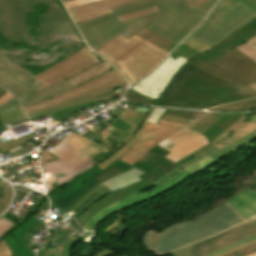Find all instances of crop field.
Listing matches in <instances>:
<instances>
[{"mask_svg": "<svg viewBox=\"0 0 256 256\" xmlns=\"http://www.w3.org/2000/svg\"><path fill=\"white\" fill-rule=\"evenodd\" d=\"M193 1L137 0L112 7L114 13L77 24V27L88 45L96 51L142 18L120 23L116 17L157 6L160 14L145 28L177 45L201 24L217 0H209L194 9L185 7Z\"/></svg>", "mask_w": 256, "mask_h": 256, "instance_id": "8a807250", "label": "crop field"}, {"mask_svg": "<svg viewBox=\"0 0 256 256\" xmlns=\"http://www.w3.org/2000/svg\"><path fill=\"white\" fill-rule=\"evenodd\" d=\"M168 153L170 152L157 145L138 162L136 161L137 163L133 167L146 172L138 176L142 180L115 191L117 194L107 199L102 198L92 204L77 218L79 226L92 231L101 221L112 214L160 195L193 175L185 169L169 181L156 187L154 180L178 166L164 158Z\"/></svg>", "mask_w": 256, "mask_h": 256, "instance_id": "ac0d7876", "label": "crop field"}, {"mask_svg": "<svg viewBox=\"0 0 256 256\" xmlns=\"http://www.w3.org/2000/svg\"><path fill=\"white\" fill-rule=\"evenodd\" d=\"M37 3H45L49 7L48 13L38 16L40 25L28 27L26 15ZM0 34L12 42L22 41L41 47L67 37L80 41L56 0H0Z\"/></svg>", "mask_w": 256, "mask_h": 256, "instance_id": "34b2d1b8", "label": "crop field"}, {"mask_svg": "<svg viewBox=\"0 0 256 256\" xmlns=\"http://www.w3.org/2000/svg\"><path fill=\"white\" fill-rule=\"evenodd\" d=\"M171 83L154 105L206 109L254 97L188 63Z\"/></svg>", "mask_w": 256, "mask_h": 256, "instance_id": "412701ff", "label": "crop field"}, {"mask_svg": "<svg viewBox=\"0 0 256 256\" xmlns=\"http://www.w3.org/2000/svg\"><path fill=\"white\" fill-rule=\"evenodd\" d=\"M246 221L226 202L194 220L169 225L158 233L149 229L141 243L151 253L161 256Z\"/></svg>", "mask_w": 256, "mask_h": 256, "instance_id": "f4fd0767", "label": "crop field"}, {"mask_svg": "<svg viewBox=\"0 0 256 256\" xmlns=\"http://www.w3.org/2000/svg\"><path fill=\"white\" fill-rule=\"evenodd\" d=\"M96 52L127 77L129 86L169 53L136 34L128 39L120 35Z\"/></svg>", "mask_w": 256, "mask_h": 256, "instance_id": "dd49c442", "label": "crop field"}, {"mask_svg": "<svg viewBox=\"0 0 256 256\" xmlns=\"http://www.w3.org/2000/svg\"><path fill=\"white\" fill-rule=\"evenodd\" d=\"M101 150L109 152L100 145L71 133L65 136L55 148L48 150L61 160L41 165L42 171L43 173L57 172L56 182L62 187L94 167L95 163L91 156Z\"/></svg>", "mask_w": 256, "mask_h": 256, "instance_id": "e52e79f7", "label": "crop field"}, {"mask_svg": "<svg viewBox=\"0 0 256 256\" xmlns=\"http://www.w3.org/2000/svg\"><path fill=\"white\" fill-rule=\"evenodd\" d=\"M153 110L154 109L151 108L142 126L125 146L121 147L119 151L97 165L101 172L117 160L132 166L150 149L180 129L182 126L191 128V126L188 125L177 124L163 119H160L157 125L145 122Z\"/></svg>", "mask_w": 256, "mask_h": 256, "instance_id": "d8731c3e", "label": "crop field"}, {"mask_svg": "<svg viewBox=\"0 0 256 256\" xmlns=\"http://www.w3.org/2000/svg\"><path fill=\"white\" fill-rule=\"evenodd\" d=\"M254 18L256 12L242 2L239 1L230 7L220 1L207 21L190 37L200 42L205 41L213 47Z\"/></svg>", "mask_w": 256, "mask_h": 256, "instance_id": "5a996713", "label": "crop field"}, {"mask_svg": "<svg viewBox=\"0 0 256 256\" xmlns=\"http://www.w3.org/2000/svg\"><path fill=\"white\" fill-rule=\"evenodd\" d=\"M189 63L256 96V92L251 88H245L256 82V63L236 48L213 62L203 53Z\"/></svg>", "mask_w": 256, "mask_h": 256, "instance_id": "3316defc", "label": "crop field"}, {"mask_svg": "<svg viewBox=\"0 0 256 256\" xmlns=\"http://www.w3.org/2000/svg\"><path fill=\"white\" fill-rule=\"evenodd\" d=\"M131 168L133 167L118 161L101 173L95 166L68 183L65 191L61 188L48 195V198L52 207H60V210L66 213L90 189Z\"/></svg>", "mask_w": 256, "mask_h": 256, "instance_id": "28ad6ade", "label": "crop field"}, {"mask_svg": "<svg viewBox=\"0 0 256 256\" xmlns=\"http://www.w3.org/2000/svg\"><path fill=\"white\" fill-rule=\"evenodd\" d=\"M250 118L256 122V114L251 115ZM254 139H256V129L249 133L248 135H246L245 137H243L242 139H240L239 141H237L236 143H234L233 145H228L220 150L211 143H209L208 145L202 147L201 149L177 161L176 163L179 165L177 168H175L169 174L154 182L157 186L172 178L185 168L188 169L193 174H195L205 169L206 167L212 165L213 163L217 162L218 160L224 158L225 156L229 155L232 151L244 146L245 144L249 143Z\"/></svg>", "mask_w": 256, "mask_h": 256, "instance_id": "d1516ede", "label": "crop field"}, {"mask_svg": "<svg viewBox=\"0 0 256 256\" xmlns=\"http://www.w3.org/2000/svg\"><path fill=\"white\" fill-rule=\"evenodd\" d=\"M60 42L61 43L58 44V46L49 50V46L40 48L29 44H27L25 48L17 49V47H13L10 41H8L5 45L12 48L13 50L4 52L3 50L5 49H0L2 50V52H4L6 55H8L21 66L24 64H26L27 66H29V64H40L42 67H44V65L56 63V59L60 55L64 56L60 59L62 61L63 59H66L67 57L77 52L81 48L85 47L83 43L79 41L61 40Z\"/></svg>", "mask_w": 256, "mask_h": 256, "instance_id": "22f410ed", "label": "crop field"}, {"mask_svg": "<svg viewBox=\"0 0 256 256\" xmlns=\"http://www.w3.org/2000/svg\"><path fill=\"white\" fill-rule=\"evenodd\" d=\"M98 57L87 47L81 49L58 65L36 75L35 81L42 84L36 90L52 85L75 72L100 61L101 59Z\"/></svg>", "mask_w": 256, "mask_h": 256, "instance_id": "cbeb9de0", "label": "crop field"}, {"mask_svg": "<svg viewBox=\"0 0 256 256\" xmlns=\"http://www.w3.org/2000/svg\"><path fill=\"white\" fill-rule=\"evenodd\" d=\"M189 60L181 56L174 60L169 56L152 74L131 89L156 100L173 79L177 71ZM157 94L159 95L156 96Z\"/></svg>", "mask_w": 256, "mask_h": 256, "instance_id": "5142ce71", "label": "crop field"}, {"mask_svg": "<svg viewBox=\"0 0 256 256\" xmlns=\"http://www.w3.org/2000/svg\"><path fill=\"white\" fill-rule=\"evenodd\" d=\"M125 81L122 74H120L115 69L107 72L106 74L90 81L85 84L79 85L75 87L74 89L66 92L65 94H62L58 97H55L45 103L29 106V107H22L24 112H31L35 110H40L44 108L53 107L55 105L61 104L63 102L69 101L71 99L77 98L79 96L118 84L120 82Z\"/></svg>", "mask_w": 256, "mask_h": 256, "instance_id": "d9b57169", "label": "crop field"}, {"mask_svg": "<svg viewBox=\"0 0 256 256\" xmlns=\"http://www.w3.org/2000/svg\"><path fill=\"white\" fill-rule=\"evenodd\" d=\"M256 234V220L239 225L190 246L192 256H207L231 243Z\"/></svg>", "mask_w": 256, "mask_h": 256, "instance_id": "733c2abd", "label": "crop field"}, {"mask_svg": "<svg viewBox=\"0 0 256 256\" xmlns=\"http://www.w3.org/2000/svg\"><path fill=\"white\" fill-rule=\"evenodd\" d=\"M208 143L206 138L197 131L182 127L158 145L170 151L166 158L175 162Z\"/></svg>", "mask_w": 256, "mask_h": 256, "instance_id": "4a817a6b", "label": "crop field"}, {"mask_svg": "<svg viewBox=\"0 0 256 256\" xmlns=\"http://www.w3.org/2000/svg\"><path fill=\"white\" fill-rule=\"evenodd\" d=\"M0 85L19 97L22 106H25L29 96L40 86L34 81L28 82L2 63H0Z\"/></svg>", "mask_w": 256, "mask_h": 256, "instance_id": "bc2a9ffb", "label": "crop field"}, {"mask_svg": "<svg viewBox=\"0 0 256 256\" xmlns=\"http://www.w3.org/2000/svg\"><path fill=\"white\" fill-rule=\"evenodd\" d=\"M133 0H103L75 8L68 9L75 24L81 23L99 16L112 13L110 7L130 2Z\"/></svg>", "mask_w": 256, "mask_h": 256, "instance_id": "214f88e0", "label": "crop field"}, {"mask_svg": "<svg viewBox=\"0 0 256 256\" xmlns=\"http://www.w3.org/2000/svg\"><path fill=\"white\" fill-rule=\"evenodd\" d=\"M256 35V22L252 21L248 25L244 26L240 30L233 33L231 36L214 46L209 51L205 52L209 58L213 61L215 58L226 53L230 49L246 42L250 38Z\"/></svg>", "mask_w": 256, "mask_h": 256, "instance_id": "92a150f3", "label": "crop field"}, {"mask_svg": "<svg viewBox=\"0 0 256 256\" xmlns=\"http://www.w3.org/2000/svg\"><path fill=\"white\" fill-rule=\"evenodd\" d=\"M126 84H127V81H125L123 83H120L118 85H115V86H112V87H109V88H106V89H103V90H100V91L82 96L80 98L74 99L72 101L66 102L64 104L58 105V106L53 107V108L28 113L27 116L29 117V119H33V118L41 117L43 115H47V114H50V113H54V112H57V111L68 109V108H71V107H74V106H78V105H81V104H84V103H88V102H91V101H110V100H113L115 98H121L124 91L117 92L114 95L104 97V98H101V99H98V100L94 99L93 96L115 90V89H117L119 87H122ZM74 103H76V104H74Z\"/></svg>", "mask_w": 256, "mask_h": 256, "instance_id": "dafd665d", "label": "crop field"}, {"mask_svg": "<svg viewBox=\"0 0 256 256\" xmlns=\"http://www.w3.org/2000/svg\"><path fill=\"white\" fill-rule=\"evenodd\" d=\"M38 222L40 221L32 216L3 238L4 242L10 247L13 256H36L25 246V238L28 231Z\"/></svg>", "mask_w": 256, "mask_h": 256, "instance_id": "00972430", "label": "crop field"}, {"mask_svg": "<svg viewBox=\"0 0 256 256\" xmlns=\"http://www.w3.org/2000/svg\"><path fill=\"white\" fill-rule=\"evenodd\" d=\"M256 128V123L249 119L248 117L244 116L227 130H225L221 135H219L213 143L219 149L228 145L233 144L252 130Z\"/></svg>", "mask_w": 256, "mask_h": 256, "instance_id": "a9b5d70f", "label": "crop field"}, {"mask_svg": "<svg viewBox=\"0 0 256 256\" xmlns=\"http://www.w3.org/2000/svg\"><path fill=\"white\" fill-rule=\"evenodd\" d=\"M102 62H104V60H102V61H100V62H98L96 64H93V65H91V66H89V67H87V68L77 72L76 74H74V75H72V76H70V77H68V78H66V79H64V80H62V81L52 85V86H49L47 88H44V89H41L39 91L34 92L30 96L26 106L45 102V101H47V100H49V99H51V98H53V97H55L57 95H60V94H62L64 92L72 89L73 87L71 85H69L65 80H67V79H69V78H71V77H73V76H75V75H77L79 73H82V72H84V71H86V70H88V69H90V68H92V67H94V66H96V65H98L100 63H102Z\"/></svg>", "mask_w": 256, "mask_h": 256, "instance_id": "4177f3b9", "label": "crop field"}, {"mask_svg": "<svg viewBox=\"0 0 256 256\" xmlns=\"http://www.w3.org/2000/svg\"><path fill=\"white\" fill-rule=\"evenodd\" d=\"M5 92V90L0 88V97ZM27 119L28 118L20 108L19 100L15 97L0 106V126L25 121Z\"/></svg>", "mask_w": 256, "mask_h": 256, "instance_id": "730fd06b", "label": "crop field"}, {"mask_svg": "<svg viewBox=\"0 0 256 256\" xmlns=\"http://www.w3.org/2000/svg\"><path fill=\"white\" fill-rule=\"evenodd\" d=\"M248 221L256 219V191H245L228 201Z\"/></svg>", "mask_w": 256, "mask_h": 256, "instance_id": "eef30255", "label": "crop field"}, {"mask_svg": "<svg viewBox=\"0 0 256 256\" xmlns=\"http://www.w3.org/2000/svg\"><path fill=\"white\" fill-rule=\"evenodd\" d=\"M244 115L245 114H227L210 129H208L205 133H203V135L207 138L209 142H211L220 133H222L225 129H227Z\"/></svg>", "mask_w": 256, "mask_h": 256, "instance_id": "ae1a2a85", "label": "crop field"}, {"mask_svg": "<svg viewBox=\"0 0 256 256\" xmlns=\"http://www.w3.org/2000/svg\"><path fill=\"white\" fill-rule=\"evenodd\" d=\"M111 69H112V67L110 65H108L106 62H104V63H102V64L82 73V74H79V75L67 80V82L70 83L73 87H75L79 84H82L84 82L92 80Z\"/></svg>", "mask_w": 256, "mask_h": 256, "instance_id": "d3111659", "label": "crop field"}, {"mask_svg": "<svg viewBox=\"0 0 256 256\" xmlns=\"http://www.w3.org/2000/svg\"><path fill=\"white\" fill-rule=\"evenodd\" d=\"M99 126L100 128L97 129L96 131L94 129L84 130L103 140L109 137L115 141H117V139H120V142L129 135V133L123 132L121 130L110 128L103 122L99 123Z\"/></svg>", "mask_w": 256, "mask_h": 256, "instance_id": "750c4746", "label": "crop field"}, {"mask_svg": "<svg viewBox=\"0 0 256 256\" xmlns=\"http://www.w3.org/2000/svg\"><path fill=\"white\" fill-rule=\"evenodd\" d=\"M0 62L14 70L16 73L27 79L28 81H33L35 78V74L29 72L28 70L22 68L17 63H15L13 60H11L8 56H6L4 53L0 51Z\"/></svg>", "mask_w": 256, "mask_h": 256, "instance_id": "bd1437ed", "label": "crop field"}, {"mask_svg": "<svg viewBox=\"0 0 256 256\" xmlns=\"http://www.w3.org/2000/svg\"><path fill=\"white\" fill-rule=\"evenodd\" d=\"M144 38H146L147 40L157 44L158 46L164 48L167 51H171L176 45L168 42L167 40L161 38L160 36L152 33L151 31L147 30V29H142L141 31H139L138 33H136ZM145 39V40H146ZM154 44V45H155ZM156 45V46H157Z\"/></svg>", "mask_w": 256, "mask_h": 256, "instance_id": "1d83c4d3", "label": "crop field"}, {"mask_svg": "<svg viewBox=\"0 0 256 256\" xmlns=\"http://www.w3.org/2000/svg\"><path fill=\"white\" fill-rule=\"evenodd\" d=\"M226 114L208 113L202 120H200L193 129L198 130L201 134L210 128L214 123L221 119Z\"/></svg>", "mask_w": 256, "mask_h": 256, "instance_id": "120bbe31", "label": "crop field"}, {"mask_svg": "<svg viewBox=\"0 0 256 256\" xmlns=\"http://www.w3.org/2000/svg\"><path fill=\"white\" fill-rule=\"evenodd\" d=\"M12 198V188L7 183L0 184V215L6 210Z\"/></svg>", "mask_w": 256, "mask_h": 256, "instance_id": "d32e631a", "label": "crop field"}, {"mask_svg": "<svg viewBox=\"0 0 256 256\" xmlns=\"http://www.w3.org/2000/svg\"><path fill=\"white\" fill-rule=\"evenodd\" d=\"M159 13H153V14H149V15H145L143 16V18L137 22L133 27H131L129 30H127L126 32H124L122 35L125 37H130L131 35L135 34L136 32H138L139 30H141L142 28H144L148 23H150Z\"/></svg>", "mask_w": 256, "mask_h": 256, "instance_id": "5866460e", "label": "crop field"}, {"mask_svg": "<svg viewBox=\"0 0 256 256\" xmlns=\"http://www.w3.org/2000/svg\"><path fill=\"white\" fill-rule=\"evenodd\" d=\"M237 49L256 62V36L237 47Z\"/></svg>", "mask_w": 256, "mask_h": 256, "instance_id": "028f5c9d", "label": "crop field"}, {"mask_svg": "<svg viewBox=\"0 0 256 256\" xmlns=\"http://www.w3.org/2000/svg\"><path fill=\"white\" fill-rule=\"evenodd\" d=\"M240 184L244 187L243 189H241L236 194L226 198L225 200L217 203V205H220V204H222V203L232 199L233 197L237 196L238 194L242 193L243 191H245L247 189H249V190L254 192L256 190V172L252 176H250L248 179H246L245 181H243Z\"/></svg>", "mask_w": 256, "mask_h": 256, "instance_id": "e1f06a70", "label": "crop field"}, {"mask_svg": "<svg viewBox=\"0 0 256 256\" xmlns=\"http://www.w3.org/2000/svg\"><path fill=\"white\" fill-rule=\"evenodd\" d=\"M199 54H201V53L182 44L170 56H172L174 59H176L179 55H181L187 59V58H191V57H196Z\"/></svg>", "mask_w": 256, "mask_h": 256, "instance_id": "0bd39190", "label": "crop field"}, {"mask_svg": "<svg viewBox=\"0 0 256 256\" xmlns=\"http://www.w3.org/2000/svg\"><path fill=\"white\" fill-rule=\"evenodd\" d=\"M36 136L30 134V135H26V136H23V137H19V138H16V139H13V140H10V141H7V142H3V143H0V149L5 152L7 151L8 149L16 146V145H19L21 143H24L32 138H34Z\"/></svg>", "mask_w": 256, "mask_h": 256, "instance_id": "b80d0937", "label": "crop field"}, {"mask_svg": "<svg viewBox=\"0 0 256 256\" xmlns=\"http://www.w3.org/2000/svg\"><path fill=\"white\" fill-rule=\"evenodd\" d=\"M126 99L133 101V102H138V103H143V104H149L152 105L155 100L150 99L148 97H145L141 94L136 93L133 90H129V92L127 93V95L125 96Z\"/></svg>", "mask_w": 256, "mask_h": 256, "instance_id": "c035e120", "label": "crop field"}, {"mask_svg": "<svg viewBox=\"0 0 256 256\" xmlns=\"http://www.w3.org/2000/svg\"><path fill=\"white\" fill-rule=\"evenodd\" d=\"M17 224L13 223L12 221L3 218L0 220V240L6 236L8 233H10L13 229H15Z\"/></svg>", "mask_w": 256, "mask_h": 256, "instance_id": "c21b1889", "label": "crop field"}, {"mask_svg": "<svg viewBox=\"0 0 256 256\" xmlns=\"http://www.w3.org/2000/svg\"><path fill=\"white\" fill-rule=\"evenodd\" d=\"M184 44L193 48V49H195V50H197V51H199V52H201V53H203V52L207 51L208 49L212 48L208 44H206L205 42L200 43V42H198V41H196V40H194L190 37L184 42Z\"/></svg>", "mask_w": 256, "mask_h": 256, "instance_id": "03da06ac", "label": "crop field"}, {"mask_svg": "<svg viewBox=\"0 0 256 256\" xmlns=\"http://www.w3.org/2000/svg\"><path fill=\"white\" fill-rule=\"evenodd\" d=\"M157 11H158L157 8L153 7V8L143 10V11H139V12H136V13L125 15V16H122V17H118V19H119L120 22H122V21L130 20V19L142 16V15H145V14L157 12Z\"/></svg>", "mask_w": 256, "mask_h": 256, "instance_id": "b54c1fbb", "label": "crop field"}, {"mask_svg": "<svg viewBox=\"0 0 256 256\" xmlns=\"http://www.w3.org/2000/svg\"><path fill=\"white\" fill-rule=\"evenodd\" d=\"M240 111L256 109V98L235 103Z\"/></svg>", "mask_w": 256, "mask_h": 256, "instance_id": "5d738f31", "label": "crop field"}, {"mask_svg": "<svg viewBox=\"0 0 256 256\" xmlns=\"http://www.w3.org/2000/svg\"><path fill=\"white\" fill-rule=\"evenodd\" d=\"M100 102H91V103H88V104H84V105H81V106H78V107H74V108H71V109H68V110H64V111H61V112H57V113H54V114H50L48 116H51L53 120L55 119H59V115L61 114H65V113H69V112H72V111H75V110H78V109H81V108H84V107H87V106H92V105H95V104H98ZM48 116H44V117H48ZM42 117V118H44ZM41 119V118H39ZM34 120H37V119H34ZM32 120V121H34Z\"/></svg>", "mask_w": 256, "mask_h": 256, "instance_id": "d23c7cc5", "label": "crop field"}, {"mask_svg": "<svg viewBox=\"0 0 256 256\" xmlns=\"http://www.w3.org/2000/svg\"><path fill=\"white\" fill-rule=\"evenodd\" d=\"M253 252H256V244L252 245V246L245 247L243 249H240V250L233 252L231 254H228L226 256H245V255L251 254Z\"/></svg>", "mask_w": 256, "mask_h": 256, "instance_id": "425ffa30", "label": "crop field"}, {"mask_svg": "<svg viewBox=\"0 0 256 256\" xmlns=\"http://www.w3.org/2000/svg\"><path fill=\"white\" fill-rule=\"evenodd\" d=\"M167 111V109H155L151 116L148 118L147 122L156 124L160 117Z\"/></svg>", "mask_w": 256, "mask_h": 256, "instance_id": "25e5ab78", "label": "crop field"}, {"mask_svg": "<svg viewBox=\"0 0 256 256\" xmlns=\"http://www.w3.org/2000/svg\"><path fill=\"white\" fill-rule=\"evenodd\" d=\"M96 244H98V243H96L95 241L88 244L85 249L81 250L80 254H82V256H91L93 253H95L97 250H99L98 248H96L94 246ZM80 254H79V256H81Z\"/></svg>", "mask_w": 256, "mask_h": 256, "instance_id": "73cf0c24", "label": "crop field"}, {"mask_svg": "<svg viewBox=\"0 0 256 256\" xmlns=\"http://www.w3.org/2000/svg\"><path fill=\"white\" fill-rule=\"evenodd\" d=\"M253 240H256V235H255V236H252V237H250V238L244 239V240H242V241L236 242V243H234V244H232V245H230V246H228V247H226V248H224V249H222V250H220V251H218V252H216V253H214V254H212V255H210V256H215V255H217V254H219V253H222V252H224V251H227V250H229V249H232V248H234V247H237V246H239V245H241V244H244V243H246V242L253 241Z\"/></svg>", "mask_w": 256, "mask_h": 256, "instance_id": "89e229c0", "label": "crop field"}, {"mask_svg": "<svg viewBox=\"0 0 256 256\" xmlns=\"http://www.w3.org/2000/svg\"><path fill=\"white\" fill-rule=\"evenodd\" d=\"M95 1H99V0H74L71 2L64 3V5L66 6V8H69V7H75V6H79V5H83V4H87Z\"/></svg>", "mask_w": 256, "mask_h": 256, "instance_id": "1f2cbd36", "label": "crop field"}, {"mask_svg": "<svg viewBox=\"0 0 256 256\" xmlns=\"http://www.w3.org/2000/svg\"><path fill=\"white\" fill-rule=\"evenodd\" d=\"M89 235H91V233L86 232L85 234H83L82 236H80L79 238H77L76 240H74L72 243H70V244L67 246V248L65 249L64 254H63L62 256H68V254H69V252H70L72 246H73L75 243H77L78 241H80V240H82V239L88 237Z\"/></svg>", "mask_w": 256, "mask_h": 256, "instance_id": "dbb93151", "label": "crop field"}, {"mask_svg": "<svg viewBox=\"0 0 256 256\" xmlns=\"http://www.w3.org/2000/svg\"><path fill=\"white\" fill-rule=\"evenodd\" d=\"M0 256H12L10 249L3 240L0 241Z\"/></svg>", "mask_w": 256, "mask_h": 256, "instance_id": "0fb4a251", "label": "crop field"}, {"mask_svg": "<svg viewBox=\"0 0 256 256\" xmlns=\"http://www.w3.org/2000/svg\"><path fill=\"white\" fill-rule=\"evenodd\" d=\"M174 256H191L189 246L183 247L175 252L172 253Z\"/></svg>", "mask_w": 256, "mask_h": 256, "instance_id": "1d79db26", "label": "crop field"}, {"mask_svg": "<svg viewBox=\"0 0 256 256\" xmlns=\"http://www.w3.org/2000/svg\"><path fill=\"white\" fill-rule=\"evenodd\" d=\"M221 1H223V2H225L226 4H228V5H233L234 3H236L237 1H239V0H221ZM240 1H242L244 4H246L247 6H249L251 9H253L254 11H256V8L252 5V4H250L249 2H247V1H245V0H240Z\"/></svg>", "mask_w": 256, "mask_h": 256, "instance_id": "9d1cf04e", "label": "crop field"}, {"mask_svg": "<svg viewBox=\"0 0 256 256\" xmlns=\"http://www.w3.org/2000/svg\"><path fill=\"white\" fill-rule=\"evenodd\" d=\"M112 253V251L107 250V249H100L99 251H97L95 254H93L92 256H110Z\"/></svg>", "mask_w": 256, "mask_h": 256, "instance_id": "447ae74e", "label": "crop field"}, {"mask_svg": "<svg viewBox=\"0 0 256 256\" xmlns=\"http://www.w3.org/2000/svg\"><path fill=\"white\" fill-rule=\"evenodd\" d=\"M255 243H256V241L246 243V244H244V245H242V246H239V247H237V248H234V249H232V250H229V251L224 252V253H222V254H220V255H217V256L226 255V254L231 253V252H233V251H236V250H238V249H240V248H243V247H245V246L252 245V244H255Z\"/></svg>", "mask_w": 256, "mask_h": 256, "instance_id": "0765c3eb", "label": "crop field"}, {"mask_svg": "<svg viewBox=\"0 0 256 256\" xmlns=\"http://www.w3.org/2000/svg\"><path fill=\"white\" fill-rule=\"evenodd\" d=\"M14 97V95L6 92L1 98H0V105L4 104L6 101Z\"/></svg>", "mask_w": 256, "mask_h": 256, "instance_id": "db79e9e6", "label": "crop field"}, {"mask_svg": "<svg viewBox=\"0 0 256 256\" xmlns=\"http://www.w3.org/2000/svg\"><path fill=\"white\" fill-rule=\"evenodd\" d=\"M61 188L56 182L46 189L47 195Z\"/></svg>", "mask_w": 256, "mask_h": 256, "instance_id": "7b73153f", "label": "crop field"}, {"mask_svg": "<svg viewBox=\"0 0 256 256\" xmlns=\"http://www.w3.org/2000/svg\"><path fill=\"white\" fill-rule=\"evenodd\" d=\"M204 1H206V0H196L195 2L191 3L188 6L191 7V8H194L196 5H198V4H200V3L204 2Z\"/></svg>", "mask_w": 256, "mask_h": 256, "instance_id": "78b8030e", "label": "crop field"}, {"mask_svg": "<svg viewBox=\"0 0 256 256\" xmlns=\"http://www.w3.org/2000/svg\"><path fill=\"white\" fill-rule=\"evenodd\" d=\"M115 92L112 91V92H109V93H105V94H102V95H99V96H95L94 98L98 99V98H101V97H104V96H108V95H111V94H114Z\"/></svg>", "mask_w": 256, "mask_h": 256, "instance_id": "0f1d7ab4", "label": "crop field"}, {"mask_svg": "<svg viewBox=\"0 0 256 256\" xmlns=\"http://www.w3.org/2000/svg\"><path fill=\"white\" fill-rule=\"evenodd\" d=\"M49 244H50L49 242H46V245H45V247L43 249V252H42V256H45V254H46V252L48 250Z\"/></svg>", "mask_w": 256, "mask_h": 256, "instance_id": "e1d0b9f6", "label": "crop field"}, {"mask_svg": "<svg viewBox=\"0 0 256 256\" xmlns=\"http://www.w3.org/2000/svg\"><path fill=\"white\" fill-rule=\"evenodd\" d=\"M5 131H7L5 127H1V128H0V134L3 133V132H5Z\"/></svg>", "mask_w": 256, "mask_h": 256, "instance_id": "ae633e8c", "label": "crop field"}, {"mask_svg": "<svg viewBox=\"0 0 256 256\" xmlns=\"http://www.w3.org/2000/svg\"><path fill=\"white\" fill-rule=\"evenodd\" d=\"M247 1H249L250 3H252L256 7V0H247Z\"/></svg>", "mask_w": 256, "mask_h": 256, "instance_id": "d14b1444", "label": "crop field"}, {"mask_svg": "<svg viewBox=\"0 0 256 256\" xmlns=\"http://www.w3.org/2000/svg\"><path fill=\"white\" fill-rule=\"evenodd\" d=\"M252 88H254L256 90V83L251 85Z\"/></svg>", "mask_w": 256, "mask_h": 256, "instance_id": "c39391a2", "label": "crop field"}, {"mask_svg": "<svg viewBox=\"0 0 256 256\" xmlns=\"http://www.w3.org/2000/svg\"><path fill=\"white\" fill-rule=\"evenodd\" d=\"M248 256H256V253H253V254H251V255H248Z\"/></svg>", "mask_w": 256, "mask_h": 256, "instance_id": "ade564c9", "label": "crop field"}, {"mask_svg": "<svg viewBox=\"0 0 256 256\" xmlns=\"http://www.w3.org/2000/svg\"><path fill=\"white\" fill-rule=\"evenodd\" d=\"M67 1H70V0H67ZM62 2H66L65 0H63Z\"/></svg>", "mask_w": 256, "mask_h": 256, "instance_id": "c5b07064", "label": "crop field"}, {"mask_svg": "<svg viewBox=\"0 0 256 256\" xmlns=\"http://www.w3.org/2000/svg\"><path fill=\"white\" fill-rule=\"evenodd\" d=\"M254 21H256V19Z\"/></svg>", "mask_w": 256, "mask_h": 256, "instance_id": "c3a83c6f", "label": "crop field"}]
</instances>
